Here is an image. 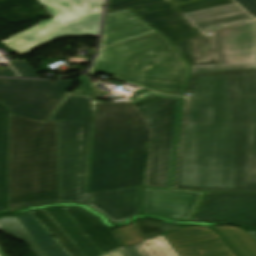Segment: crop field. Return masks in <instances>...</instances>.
<instances>
[{
    "label": "crop field",
    "mask_w": 256,
    "mask_h": 256,
    "mask_svg": "<svg viewBox=\"0 0 256 256\" xmlns=\"http://www.w3.org/2000/svg\"><path fill=\"white\" fill-rule=\"evenodd\" d=\"M96 109L89 192L141 187L152 120L131 101Z\"/></svg>",
    "instance_id": "2"
},
{
    "label": "crop field",
    "mask_w": 256,
    "mask_h": 256,
    "mask_svg": "<svg viewBox=\"0 0 256 256\" xmlns=\"http://www.w3.org/2000/svg\"><path fill=\"white\" fill-rule=\"evenodd\" d=\"M129 8L171 43L200 32L169 0H109L106 12Z\"/></svg>",
    "instance_id": "10"
},
{
    "label": "crop field",
    "mask_w": 256,
    "mask_h": 256,
    "mask_svg": "<svg viewBox=\"0 0 256 256\" xmlns=\"http://www.w3.org/2000/svg\"><path fill=\"white\" fill-rule=\"evenodd\" d=\"M155 32L129 10L106 14L101 45L106 46Z\"/></svg>",
    "instance_id": "15"
},
{
    "label": "crop field",
    "mask_w": 256,
    "mask_h": 256,
    "mask_svg": "<svg viewBox=\"0 0 256 256\" xmlns=\"http://www.w3.org/2000/svg\"><path fill=\"white\" fill-rule=\"evenodd\" d=\"M7 125L8 108L0 104V212L6 211L7 204Z\"/></svg>",
    "instance_id": "21"
},
{
    "label": "crop field",
    "mask_w": 256,
    "mask_h": 256,
    "mask_svg": "<svg viewBox=\"0 0 256 256\" xmlns=\"http://www.w3.org/2000/svg\"><path fill=\"white\" fill-rule=\"evenodd\" d=\"M0 231H3L7 235H13L19 241L25 243L35 256H46L16 217L6 216L1 218Z\"/></svg>",
    "instance_id": "23"
},
{
    "label": "crop field",
    "mask_w": 256,
    "mask_h": 256,
    "mask_svg": "<svg viewBox=\"0 0 256 256\" xmlns=\"http://www.w3.org/2000/svg\"><path fill=\"white\" fill-rule=\"evenodd\" d=\"M17 218L30 233V235L38 240L40 247L47 256H68L45 231V229L36 221L30 212L23 216H18Z\"/></svg>",
    "instance_id": "20"
},
{
    "label": "crop field",
    "mask_w": 256,
    "mask_h": 256,
    "mask_svg": "<svg viewBox=\"0 0 256 256\" xmlns=\"http://www.w3.org/2000/svg\"><path fill=\"white\" fill-rule=\"evenodd\" d=\"M23 77L40 78L26 62H12Z\"/></svg>",
    "instance_id": "28"
},
{
    "label": "crop field",
    "mask_w": 256,
    "mask_h": 256,
    "mask_svg": "<svg viewBox=\"0 0 256 256\" xmlns=\"http://www.w3.org/2000/svg\"><path fill=\"white\" fill-rule=\"evenodd\" d=\"M173 48L157 32L102 47L89 73L182 96L189 66Z\"/></svg>",
    "instance_id": "5"
},
{
    "label": "crop field",
    "mask_w": 256,
    "mask_h": 256,
    "mask_svg": "<svg viewBox=\"0 0 256 256\" xmlns=\"http://www.w3.org/2000/svg\"><path fill=\"white\" fill-rule=\"evenodd\" d=\"M250 14L256 17V0H235Z\"/></svg>",
    "instance_id": "29"
},
{
    "label": "crop field",
    "mask_w": 256,
    "mask_h": 256,
    "mask_svg": "<svg viewBox=\"0 0 256 256\" xmlns=\"http://www.w3.org/2000/svg\"><path fill=\"white\" fill-rule=\"evenodd\" d=\"M63 208L85 235H91L89 239L102 255L121 247V244L116 238L112 229L105 227L98 217L82 208Z\"/></svg>",
    "instance_id": "16"
},
{
    "label": "crop field",
    "mask_w": 256,
    "mask_h": 256,
    "mask_svg": "<svg viewBox=\"0 0 256 256\" xmlns=\"http://www.w3.org/2000/svg\"><path fill=\"white\" fill-rule=\"evenodd\" d=\"M256 240V231H247Z\"/></svg>",
    "instance_id": "34"
},
{
    "label": "crop field",
    "mask_w": 256,
    "mask_h": 256,
    "mask_svg": "<svg viewBox=\"0 0 256 256\" xmlns=\"http://www.w3.org/2000/svg\"><path fill=\"white\" fill-rule=\"evenodd\" d=\"M201 32L251 19L232 0H170Z\"/></svg>",
    "instance_id": "11"
},
{
    "label": "crop field",
    "mask_w": 256,
    "mask_h": 256,
    "mask_svg": "<svg viewBox=\"0 0 256 256\" xmlns=\"http://www.w3.org/2000/svg\"><path fill=\"white\" fill-rule=\"evenodd\" d=\"M31 213L69 256H84L44 210L31 211Z\"/></svg>",
    "instance_id": "22"
},
{
    "label": "crop field",
    "mask_w": 256,
    "mask_h": 256,
    "mask_svg": "<svg viewBox=\"0 0 256 256\" xmlns=\"http://www.w3.org/2000/svg\"><path fill=\"white\" fill-rule=\"evenodd\" d=\"M77 81L82 82V84L72 93L92 96L97 91V89L93 88L96 83L91 82L87 76L82 74L78 77Z\"/></svg>",
    "instance_id": "27"
},
{
    "label": "crop field",
    "mask_w": 256,
    "mask_h": 256,
    "mask_svg": "<svg viewBox=\"0 0 256 256\" xmlns=\"http://www.w3.org/2000/svg\"><path fill=\"white\" fill-rule=\"evenodd\" d=\"M173 188L256 192V69L191 74Z\"/></svg>",
    "instance_id": "1"
},
{
    "label": "crop field",
    "mask_w": 256,
    "mask_h": 256,
    "mask_svg": "<svg viewBox=\"0 0 256 256\" xmlns=\"http://www.w3.org/2000/svg\"><path fill=\"white\" fill-rule=\"evenodd\" d=\"M221 256H235L234 254H227V255H221Z\"/></svg>",
    "instance_id": "35"
},
{
    "label": "crop field",
    "mask_w": 256,
    "mask_h": 256,
    "mask_svg": "<svg viewBox=\"0 0 256 256\" xmlns=\"http://www.w3.org/2000/svg\"><path fill=\"white\" fill-rule=\"evenodd\" d=\"M70 87V81L0 79V102L10 113L45 121Z\"/></svg>",
    "instance_id": "9"
},
{
    "label": "crop field",
    "mask_w": 256,
    "mask_h": 256,
    "mask_svg": "<svg viewBox=\"0 0 256 256\" xmlns=\"http://www.w3.org/2000/svg\"><path fill=\"white\" fill-rule=\"evenodd\" d=\"M0 76H13V77H16L15 74L11 71L10 68L0 70Z\"/></svg>",
    "instance_id": "31"
},
{
    "label": "crop field",
    "mask_w": 256,
    "mask_h": 256,
    "mask_svg": "<svg viewBox=\"0 0 256 256\" xmlns=\"http://www.w3.org/2000/svg\"><path fill=\"white\" fill-rule=\"evenodd\" d=\"M96 99L67 93L47 122H94Z\"/></svg>",
    "instance_id": "17"
},
{
    "label": "crop field",
    "mask_w": 256,
    "mask_h": 256,
    "mask_svg": "<svg viewBox=\"0 0 256 256\" xmlns=\"http://www.w3.org/2000/svg\"><path fill=\"white\" fill-rule=\"evenodd\" d=\"M0 256H3L1 252H0Z\"/></svg>",
    "instance_id": "36"
},
{
    "label": "crop field",
    "mask_w": 256,
    "mask_h": 256,
    "mask_svg": "<svg viewBox=\"0 0 256 256\" xmlns=\"http://www.w3.org/2000/svg\"><path fill=\"white\" fill-rule=\"evenodd\" d=\"M203 193L145 189V215L191 220Z\"/></svg>",
    "instance_id": "13"
},
{
    "label": "crop field",
    "mask_w": 256,
    "mask_h": 256,
    "mask_svg": "<svg viewBox=\"0 0 256 256\" xmlns=\"http://www.w3.org/2000/svg\"><path fill=\"white\" fill-rule=\"evenodd\" d=\"M181 256H216L232 253L216 232L179 229L165 234ZM198 249L200 254H196Z\"/></svg>",
    "instance_id": "14"
},
{
    "label": "crop field",
    "mask_w": 256,
    "mask_h": 256,
    "mask_svg": "<svg viewBox=\"0 0 256 256\" xmlns=\"http://www.w3.org/2000/svg\"><path fill=\"white\" fill-rule=\"evenodd\" d=\"M193 221L256 226V195L206 194Z\"/></svg>",
    "instance_id": "12"
},
{
    "label": "crop field",
    "mask_w": 256,
    "mask_h": 256,
    "mask_svg": "<svg viewBox=\"0 0 256 256\" xmlns=\"http://www.w3.org/2000/svg\"><path fill=\"white\" fill-rule=\"evenodd\" d=\"M52 18L4 41L5 45L24 55L65 36L97 35L101 7L105 0H39Z\"/></svg>",
    "instance_id": "7"
},
{
    "label": "crop field",
    "mask_w": 256,
    "mask_h": 256,
    "mask_svg": "<svg viewBox=\"0 0 256 256\" xmlns=\"http://www.w3.org/2000/svg\"><path fill=\"white\" fill-rule=\"evenodd\" d=\"M173 45L193 66L191 73L256 68L253 19Z\"/></svg>",
    "instance_id": "6"
},
{
    "label": "crop field",
    "mask_w": 256,
    "mask_h": 256,
    "mask_svg": "<svg viewBox=\"0 0 256 256\" xmlns=\"http://www.w3.org/2000/svg\"><path fill=\"white\" fill-rule=\"evenodd\" d=\"M94 123H56L59 203H82L118 224L140 214L141 188L86 194Z\"/></svg>",
    "instance_id": "4"
},
{
    "label": "crop field",
    "mask_w": 256,
    "mask_h": 256,
    "mask_svg": "<svg viewBox=\"0 0 256 256\" xmlns=\"http://www.w3.org/2000/svg\"><path fill=\"white\" fill-rule=\"evenodd\" d=\"M184 228H187V229H203V230L212 231L210 227L187 226V227H184Z\"/></svg>",
    "instance_id": "32"
},
{
    "label": "crop field",
    "mask_w": 256,
    "mask_h": 256,
    "mask_svg": "<svg viewBox=\"0 0 256 256\" xmlns=\"http://www.w3.org/2000/svg\"><path fill=\"white\" fill-rule=\"evenodd\" d=\"M114 230L121 240L123 248L145 240L137 221L123 228H114Z\"/></svg>",
    "instance_id": "25"
},
{
    "label": "crop field",
    "mask_w": 256,
    "mask_h": 256,
    "mask_svg": "<svg viewBox=\"0 0 256 256\" xmlns=\"http://www.w3.org/2000/svg\"><path fill=\"white\" fill-rule=\"evenodd\" d=\"M138 223L146 237H152L173 229H179L181 227L173 224L164 223L161 221L150 220V219H140Z\"/></svg>",
    "instance_id": "26"
},
{
    "label": "crop field",
    "mask_w": 256,
    "mask_h": 256,
    "mask_svg": "<svg viewBox=\"0 0 256 256\" xmlns=\"http://www.w3.org/2000/svg\"><path fill=\"white\" fill-rule=\"evenodd\" d=\"M85 256H100L99 251L83 234L62 207H55L45 210Z\"/></svg>",
    "instance_id": "18"
},
{
    "label": "crop field",
    "mask_w": 256,
    "mask_h": 256,
    "mask_svg": "<svg viewBox=\"0 0 256 256\" xmlns=\"http://www.w3.org/2000/svg\"><path fill=\"white\" fill-rule=\"evenodd\" d=\"M143 256H179L163 235L136 245Z\"/></svg>",
    "instance_id": "24"
},
{
    "label": "crop field",
    "mask_w": 256,
    "mask_h": 256,
    "mask_svg": "<svg viewBox=\"0 0 256 256\" xmlns=\"http://www.w3.org/2000/svg\"><path fill=\"white\" fill-rule=\"evenodd\" d=\"M106 256H123V254L121 253V251H117V252H114V253H111V254H108Z\"/></svg>",
    "instance_id": "33"
},
{
    "label": "crop field",
    "mask_w": 256,
    "mask_h": 256,
    "mask_svg": "<svg viewBox=\"0 0 256 256\" xmlns=\"http://www.w3.org/2000/svg\"><path fill=\"white\" fill-rule=\"evenodd\" d=\"M131 101L153 120L143 187L171 189L182 99L150 91Z\"/></svg>",
    "instance_id": "8"
},
{
    "label": "crop field",
    "mask_w": 256,
    "mask_h": 256,
    "mask_svg": "<svg viewBox=\"0 0 256 256\" xmlns=\"http://www.w3.org/2000/svg\"><path fill=\"white\" fill-rule=\"evenodd\" d=\"M238 256H256V241L242 228L214 227Z\"/></svg>",
    "instance_id": "19"
},
{
    "label": "crop field",
    "mask_w": 256,
    "mask_h": 256,
    "mask_svg": "<svg viewBox=\"0 0 256 256\" xmlns=\"http://www.w3.org/2000/svg\"><path fill=\"white\" fill-rule=\"evenodd\" d=\"M122 253L124 254V256H141L135 246L123 249Z\"/></svg>",
    "instance_id": "30"
},
{
    "label": "crop field",
    "mask_w": 256,
    "mask_h": 256,
    "mask_svg": "<svg viewBox=\"0 0 256 256\" xmlns=\"http://www.w3.org/2000/svg\"><path fill=\"white\" fill-rule=\"evenodd\" d=\"M55 203V123L10 114L9 211Z\"/></svg>",
    "instance_id": "3"
}]
</instances>
